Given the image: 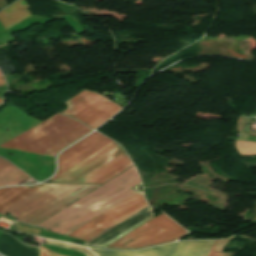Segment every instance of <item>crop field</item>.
Wrapping results in <instances>:
<instances>
[{
	"instance_id": "6",
	"label": "crop field",
	"mask_w": 256,
	"mask_h": 256,
	"mask_svg": "<svg viewBox=\"0 0 256 256\" xmlns=\"http://www.w3.org/2000/svg\"><path fill=\"white\" fill-rule=\"evenodd\" d=\"M65 103L69 108L61 113L70 115L93 129L122 109L114 102L87 90Z\"/></svg>"
},
{
	"instance_id": "13",
	"label": "crop field",
	"mask_w": 256,
	"mask_h": 256,
	"mask_svg": "<svg viewBox=\"0 0 256 256\" xmlns=\"http://www.w3.org/2000/svg\"><path fill=\"white\" fill-rule=\"evenodd\" d=\"M148 206L145 205L142 208H140L139 210L135 211L134 213H132L131 215L127 216L126 218H124L123 220L119 221L118 223H116L115 225L111 226L110 228H108L107 230L103 231L102 233H100L99 235L95 236L94 238H92L91 240H89L88 242L92 241L93 239L99 237L100 235H102L103 233L107 232L108 230H110L111 228H113L114 226H116L117 224L121 223L122 221H124L125 219L129 218L130 216L136 214L137 212L141 211L142 209L146 208ZM150 207V206H149ZM152 210V209H151ZM153 218V215L150 216L149 218L145 219L144 221H142L141 223H139L138 225L134 226L133 228H131L130 230L126 231L125 233H123L122 235H120L119 237L115 238L114 240H112L111 242H109L108 244L104 245L102 248L106 247L107 245L111 244L112 242H114L115 240L119 239L120 237L124 236L125 234H127L128 232L132 231L133 229L137 228L138 226H140L141 224L145 223L146 221H148L149 219ZM87 242V243H88ZM86 244V243H85Z\"/></svg>"
},
{
	"instance_id": "16",
	"label": "crop field",
	"mask_w": 256,
	"mask_h": 256,
	"mask_svg": "<svg viewBox=\"0 0 256 256\" xmlns=\"http://www.w3.org/2000/svg\"><path fill=\"white\" fill-rule=\"evenodd\" d=\"M10 165H12V164L9 163V162L6 161V160L0 158V170L4 169V168H6V167H8V166H10Z\"/></svg>"
},
{
	"instance_id": "21",
	"label": "crop field",
	"mask_w": 256,
	"mask_h": 256,
	"mask_svg": "<svg viewBox=\"0 0 256 256\" xmlns=\"http://www.w3.org/2000/svg\"><path fill=\"white\" fill-rule=\"evenodd\" d=\"M0 76H3L1 72H0Z\"/></svg>"
},
{
	"instance_id": "19",
	"label": "crop field",
	"mask_w": 256,
	"mask_h": 256,
	"mask_svg": "<svg viewBox=\"0 0 256 256\" xmlns=\"http://www.w3.org/2000/svg\"><path fill=\"white\" fill-rule=\"evenodd\" d=\"M8 189H10V188H3V189H0V194H2L3 192L7 191Z\"/></svg>"
},
{
	"instance_id": "17",
	"label": "crop field",
	"mask_w": 256,
	"mask_h": 256,
	"mask_svg": "<svg viewBox=\"0 0 256 256\" xmlns=\"http://www.w3.org/2000/svg\"><path fill=\"white\" fill-rule=\"evenodd\" d=\"M217 241H218V240H217ZM217 241H216V243H217ZM216 243H215V245H216ZM215 245H214V247H215ZM214 247H213V249H214ZM213 249L211 250V252H210L209 256H219V255H220V253H219V252H215V251H213Z\"/></svg>"
},
{
	"instance_id": "3",
	"label": "crop field",
	"mask_w": 256,
	"mask_h": 256,
	"mask_svg": "<svg viewBox=\"0 0 256 256\" xmlns=\"http://www.w3.org/2000/svg\"><path fill=\"white\" fill-rule=\"evenodd\" d=\"M67 186L46 184L39 190L61 199L69 195L72 191L80 188ZM95 187L96 186H83L62 200L37 190L0 214L6 215L9 213L17 218V221L35 225Z\"/></svg>"
},
{
	"instance_id": "18",
	"label": "crop field",
	"mask_w": 256,
	"mask_h": 256,
	"mask_svg": "<svg viewBox=\"0 0 256 256\" xmlns=\"http://www.w3.org/2000/svg\"><path fill=\"white\" fill-rule=\"evenodd\" d=\"M0 86L7 87V85H6L5 80H4L3 77H0Z\"/></svg>"
},
{
	"instance_id": "9",
	"label": "crop field",
	"mask_w": 256,
	"mask_h": 256,
	"mask_svg": "<svg viewBox=\"0 0 256 256\" xmlns=\"http://www.w3.org/2000/svg\"><path fill=\"white\" fill-rule=\"evenodd\" d=\"M27 8L29 7L25 0L16 2L12 6L0 12V22L3 24L6 30L9 29L24 18L31 15Z\"/></svg>"
},
{
	"instance_id": "7",
	"label": "crop field",
	"mask_w": 256,
	"mask_h": 256,
	"mask_svg": "<svg viewBox=\"0 0 256 256\" xmlns=\"http://www.w3.org/2000/svg\"><path fill=\"white\" fill-rule=\"evenodd\" d=\"M145 204L144 197L137 193L68 236L87 241Z\"/></svg>"
},
{
	"instance_id": "14",
	"label": "crop field",
	"mask_w": 256,
	"mask_h": 256,
	"mask_svg": "<svg viewBox=\"0 0 256 256\" xmlns=\"http://www.w3.org/2000/svg\"><path fill=\"white\" fill-rule=\"evenodd\" d=\"M46 242L49 245H54V246H59V247H64V248L78 250V251L82 252L83 254H85L86 256H95L86 248H81V247L69 245L67 243L56 242V241H51V240H47V239H46Z\"/></svg>"
},
{
	"instance_id": "11",
	"label": "crop field",
	"mask_w": 256,
	"mask_h": 256,
	"mask_svg": "<svg viewBox=\"0 0 256 256\" xmlns=\"http://www.w3.org/2000/svg\"><path fill=\"white\" fill-rule=\"evenodd\" d=\"M29 178L31 177L12 165L0 171V186L20 184Z\"/></svg>"
},
{
	"instance_id": "5",
	"label": "crop field",
	"mask_w": 256,
	"mask_h": 256,
	"mask_svg": "<svg viewBox=\"0 0 256 256\" xmlns=\"http://www.w3.org/2000/svg\"><path fill=\"white\" fill-rule=\"evenodd\" d=\"M185 234L186 230L162 213L108 248H139L173 241Z\"/></svg>"
},
{
	"instance_id": "2",
	"label": "crop field",
	"mask_w": 256,
	"mask_h": 256,
	"mask_svg": "<svg viewBox=\"0 0 256 256\" xmlns=\"http://www.w3.org/2000/svg\"><path fill=\"white\" fill-rule=\"evenodd\" d=\"M89 131L84 125L57 114L1 147L53 157Z\"/></svg>"
},
{
	"instance_id": "8",
	"label": "crop field",
	"mask_w": 256,
	"mask_h": 256,
	"mask_svg": "<svg viewBox=\"0 0 256 256\" xmlns=\"http://www.w3.org/2000/svg\"><path fill=\"white\" fill-rule=\"evenodd\" d=\"M215 241H188L140 251L92 250L98 256H208Z\"/></svg>"
},
{
	"instance_id": "15",
	"label": "crop field",
	"mask_w": 256,
	"mask_h": 256,
	"mask_svg": "<svg viewBox=\"0 0 256 256\" xmlns=\"http://www.w3.org/2000/svg\"><path fill=\"white\" fill-rule=\"evenodd\" d=\"M39 256H62V255H59V254H56V253H53L43 247H41L40 249V255Z\"/></svg>"
},
{
	"instance_id": "4",
	"label": "crop field",
	"mask_w": 256,
	"mask_h": 256,
	"mask_svg": "<svg viewBox=\"0 0 256 256\" xmlns=\"http://www.w3.org/2000/svg\"><path fill=\"white\" fill-rule=\"evenodd\" d=\"M112 142L114 141L97 132L92 133L61 154L59 158V171L50 180H55ZM131 165L133 164L127 156L84 183L102 184Z\"/></svg>"
},
{
	"instance_id": "20",
	"label": "crop field",
	"mask_w": 256,
	"mask_h": 256,
	"mask_svg": "<svg viewBox=\"0 0 256 256\" xmlns=\"http://www.w3.org/2000/svg\"><path fill=\"white\" fill-rule=\"evenodd\" d=\"M3 101V99H0V103Z\"/></svg>"
},
{
	"instance_id": "1",
	"label": "crop field",
	"mask_w": 256,
	"mask_h": 256,
	"mask_svg": "<svg viewBox=\"0 0 256 256\" xmlns=\"http://www.w3.org/2000/svg\"><path fill=\"white\" fill-rule=\"evenodd\" d=\"M139 183H141L140 177L133 166L38 226L67 235L135 194L136 192L131 188Z\"/></svg>"
},
{
	"instance_id": "12",
	"label": "crop field",
	"mask_w": 256,
	"mask_h": 256,
	"mask_svg": "<svg viewBox=\"0 0 256 256\" xmlns=\"http://www.w3.org/2000/svg\"><path fill=\"white\" fill-rule=\"evenodd\" d=\"M240 155H256V143L236 141Z\"/></svg>"
},
{
	"instance_id": "10",
	"label": "crop field",
	"mask_w": 256,
	"mask_h": 256,
	"mask_svg": "<svg viewBox=\"0 0 256 256\" xmlns=\"http://www.w3.org/2000/svg\"><path fill=\"white\" fill-rule=\"evenodd\" d=\"M43 185L33 187H14L0 195V212L35 191Z\"/></svg>"
}]
</instances>
